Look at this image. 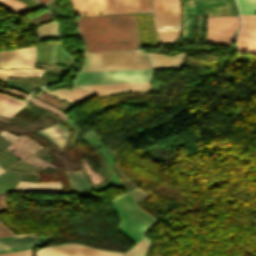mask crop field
<instances>
[{"label":"crop field","instance_id":"obj_1","mask_svg":"<svg viewBox=\"0 0 256 256\" xmlns=\"http://www.w3.org/2000/svg\"><path fill=\"white\" fill-rule=\"evenodd\" d=\"M86 52L141 47L133 14L82 17L77 22Z\"/></svg>","mask_w":256,"mask_h":256},{"label":"crop field","instance_id":"obj_2","mask_svg":"<svg viewBox=\"0 0 256 256\" xmlns=\"http://www.w3.org/2000/svg\"><path fill=\"white\" fill-rule=\"evenodd\" d=\"M147 197L149 195L137 188L112 200L121 220L119 229L136 243L145 236L152 226L157 224L155 219L134 204Z\"/></svg>","mask_w":256,"mask_h":256},{"label":"crop field","instance_id":"obj_3","mask_svg":"<svg viewBox=\"0 0 256 256\" xmlns=\"http://www.w3.org/2000/svg\"><path fill=\"white\" fill-rule=\"evenodd\" d=\"M182 5V41L195 39L196 16L197 37L202 39L204 16L237 15L233 0H182Z\"/></svg>","mask_w":256,"mask_h":256},{"label":"crop field","instance_id":"obj_4","mask_svg":"<svg viewBox=\"0 0 256 256\" xmlns=\"http://www.w3.org/2000/svg\"><path fill=\"white\" fill-rule=\"evenodd\" d=\"M35 46L18 50L0 52L1 68H33V69H0V80L5 81L7 76L40 77L44 70L34 69Z\"/></svg>","mask_w":256,"mask_h":256},{"label":"crop field","instance_id":"obj_5","mask_svg":"<svg viewBox=\"0 0 256 256\" xmlns=\"http://www.w3.org/2000/svg\"><path fill=\"white\" fill-rule=\"evenodd\" d=\"M151 69L80 73L74 85H98L151 81Z\"/></svg>","mask_w":256,"mask_h":256},{"label":"crop field","instance_id":"obj_6","mask_svg":"<svg viewBox=\"0 0 256 256\" xmlns=\"http://www.w3.org/2000/svg\"><path fill=\"white\" fill-rule=\"evenodd\" d=\"M123 253L103 251L78 244L53 245L40 249L37 256H121ZM0 256H32L31 249L0 254Z\"/></svg>","mask_w":256,"mask_h":256},{"label":"crop field","instance_id":"obj_7","mask_svg":"<svg viewBox=\"0 0 256 256\" xmlns=\"http://www.w3.org/2000/svg\"><path fill=\"white\" fill-rule=\"evenodd\" d=\"M238 25L237 16L208 18L206 42L230 47L232 34Z\"/></svg>","mask_w":256,"mask_h":256},{"label":"crop field","instance_id":"obj_8","mask_svg":"<svg viewBox=\"0 0 256 256\" xmlns=\"http://www.w3.org/2000/svg\"><path fill=\"white\" fill-rule=\"evenodd\" d=\"M238 51L256 55V15L241 16Z\"/></svg>","mask_w":256,"mask_h":256},{"label":"crop field","instance_id":"obj_9","mask_svg":"<svg viewBox=\"0 0 256 256\" xmlns=\"http://www.w3.org/2000/svg\"><path fill=\"white\" fill-rule=\"evenodd\" d=\"M0 135L13 143L6 149L21 159L32 155L42 148L41 145L24 135L18 137L5 131L0 132Z\"/></svg>","mask_w":256,"mask_h":256},{"label":"crop field","instance_id":"obj_10","mask_svg":"<svg viewBox=\"0 0 256 256\" xmlns=\"http://www.w3.org/2000/svg\"><path fill=\"white\" fill-rule=\"evenodd\" d=\"M106 14L151 11L149 0H103Z\"/></svg>","mask_w":256,"mask_h":256},{"label":"crop field","instance_id":"obj_11","mask_svg":"<svg viewBox=\"0 0 256 256\" xmlns=\"http://www.w3.org/2000/svg\"><path fill=\"white\" fill-rule=\"evenodd\" d=\"M141 44L158 46L152 12L134 14Z\"/></svg>","mask_w":256,"mask_h":256},{"label":"crop field","instance_id":"obj_12","mask_svg":"<svg viewBox=\"0 0 256 256\" xmlns=\"http://www.w3.org/2000/svg\"><path fill=\"white\" fill-rule=\"evenodd\" d=\"M39 247L35 234L14 235L0 238V253Z\"/></svg>","mask_w":256,"mask_h":256},{"label":"crop field","instance_id":"obj_13","mask_svg":"<svg viewBox=\"0 0 256 256\" xmlns=\"http://www.w3.org/2000/svg\"><path fill=\"white\" fill-rule=\"evenodd\" d=\"M150 82L143 83H128V84H113V85H98V86H83L80 88L97 93L99 96L112 95L120 92L128 91H147Z\"/></svg>","mask_w":256,"mask_h":256},{"label":"crop field","instance_id":"obj_14","mask_svg":"<svg viewBox=\"0 0 256 256\" xmlns=\"http://www.w3.org/2000/svg\"><path fill=\"white\" fill-rule=\"evenodd\" d=\"M42 90L66 101L74 106L95 96L92 93L86 92V91L78 89L76 87H73V89L71 91H68L66 89H58V90L49 92V91L45 90L44 88H42Z\"/></svg>","mask_w":256,"mask_h":256},{"label":"crop field","instance_id":"obj_15","mask_svg":"<svg viewBox=\"0 0 256 256\" xmlns=\"http://www.w3.org/2000/svg\"><path fill=\"white\" fill-rule=\"evenodd\" d=\"M74 14L98 15L105 14L102 0H71Z\"/></svg>","mask_w":256,"mask_h":256},{"label":"crop field","instance_id":"obj_16","mask_svg":"<svg viewBox=\"0 0 256 256\" xmlns=\"http://www.w3.org/2000/svg\"><path fill=\"white\" fill-rule=\"evenodd\" d=\"M148 54L153 68L172 67L181 69L182 61L185 56V53L173 56H163L153 53Z\"/></svg>","mask_w":256,"mask_h":256},{"label":"crop field","instance_id":"obj_17","mask_svg":"<svg viewBox=\"0 0 256 256\" xmlns=\"http://www.w3.org/2000/svg\"><path fill=\"white\" fill-rule=\"evenodd\" d=\"M12 191H45V192H61V183H32L20 181Z\"/></svg>","mask_w":256,"mask_h":256},{"label":"crop field","instance_id":"obj_18","mask_svg":"<svg viewBox=\"0 0 256 256\" xmlns=\"http://www.w3.org/2000/svg\"><path fill=\"white\" fill-rule=\"evenodd\" d=\"M39 132L54 142L60 149L65 146L70 134L69 131L60 124H56Z\"/></svg>","mask_w":256,"mask_h":256},{"label":"crop field","instance_id":"obj_19","mask_svg":"<svg viewBox=\"0 0 256 256\" xmlns=\"http://www.w3.org/2000/svg\"><path fill=\"white\" fill-rule=\"evenodd\" d=\"M25 106V102L8 95L0 94V115L11 118L18 110Z\"/></svg>","mask_w":256,"mask_h":256},{"label":"crop field","instance_id":"obj_20","mask_svg":"<svg viewBox=\"0 0 256 256\" xmlns=\"http://www.w3.org/2000/svg\"><path fill=\"white\" fill-rule=\"evenodd\" d=\"M57 30H58V26L55 21L52 23L43 25L37 28V38L38 40L48 39V38H59Z\"/></svg>","mask_w":256,"mask_h":256},{"label":"crop field","instance_id":"obj_21","mask_svg":"<svg viewBox=\"0 0 256 256\" xmlns=\"http://www.w3.org/2000/svg\"><path fill=\"white\" fill-rule=\"evenodd\" d=\"M40 117H42V115L35 113V112L27 109L26 107H24L17 114H15L13 116V119H15L25 125H28V124L38 120Z\"/></svg>","mask_w":256,"mask_h":256},{"label":"crop field","instance_id":"obj_22","mask_svg":"<svg viewBox=\"0 0 256 256\" xmlns=\"http://www.w3.org/2000/svg\"><path fill=\"white\" fill-rule=\"evenodd\" d=\"M151 249L150 241L143 239L123 256H146Z\"/></svg>","mask_w":256,"mask_h":256},{"label":"crop field","instance_id":"obj_23","mask_svg":"<svg viewBox=\"0 0 256 256\" xmlns=\"http://www.w3.org/2000/svg\"><path fill=\"white\" fill-rule=\"evenodd\" d=\"M0 4L3 5L5 8H7L17 14H22V13L32 11L25 4H23L17 0H0Z\"/></svg>","mask_w":256,"mask_h":256},{"label":"crop field","instance_id":"obj_24","mask_svg":"<svg viewBox=\"0 0 256 256\" xmlns=\"http://www.w3.org/2000/svg\"><path fill=\"white\" fill-rule=\"evenodd\" d=\"M38 98L52 104V105H55L57 106L59 109H61L63 112H67L68 110H70L72 107L63 103L62 101L52 97L51 95L41 91L38 95H37Z\"/></svg>","mask_w":256,"mask_h":256},{"label":"crop field","instance_id":"obj_25","mask_svg":"<svg viewBox=\"0 0 256 256\" xmlns=\"http://www.w3.org/2000/svg\"><path fill=\"white\" fill-rule=\"evenodd\" d=\"M181 30L158 31L161 43L173 44L178 41Z\"/></svg>","mask_w":256,"mask_h":256},{"label":"crop field","instance_id":"obj_26","mask_svg":"<svg viewBox=\"0 0 256 256\" xmlns=\"http://www.w3.org/2000/svg\"><path fill=\"white\" fill-rule=\"evenodd\" d=\"M240 14L256 13V0H236Z\"/></svg>","mask_w":256,"mask_h":256},{"label":"crop field","instance_id":"obj_27","mask_svg":"<svg viewBox=\"0 0 256 256\" xmlns=\"http://www.w3.org/2000/svg\"><path fill=\"white\" fill-rule=\"evenodd\" d=\"M28 101L30 103H32V104L38 105V106H40V107H42V108H44V109H46L48 111H51V112L57 114L62 120L67 119V117H66V115L64 113L60 112L59 110H57L54 107H51L49 105L44 104L43 102H41V101L31 97V96L29 97Z\"/></svg>","mask_w":256,"mask_h":256},{"label":"crop field","instance_id":"obj_28","mask_svg":"<svg viewBox=\"0 0 256 256\" xmlns=\"http://www.w3.org/2000/svg\"><path fill=\"white\" fill-rule=\"evenodd\" d=\"M7 210L5 193H0V212ZM13 233L0 224V236L12 235Z\"/></svg>","mask_w":256,"mask_h":256},{"label":"crop field","instance_id":"obj_29","mask_svg":"<svg viewBox=\"0 0 256 256\" xmlns=\"http://www.w3.org/2000/svg\"><path fill=\"white\" fill-rule=\"evenodd\" d=\"M23 161H25V162H27V163H29V164H32V165H34V166H37V167H39V168L54 167V166L50 165L49 163L43 161L42 159H40V158H38V157H36V156H34V155L31 156V157H29V158L26 159V160H23Z\"/></svg>","mask_w":256,"mask_h":256},{"label":"crop field","instance_id":"obj_30","mask_svg":"<svg viewBox=\"0 0 256 256\" xmlns=\"http://www.w3.org/2000/svg\"><path fill=\"white\" fill-rule=\"evenodd\" d=\"M76 172H77V174L80 176V178H81L82 182L84 183V185L86 186V188H91V187L94 186L93 183L90 181V179L87 177V175H86L84 169H82V172H83V174L85 175V177L87 178V180L89 181L91 187H90V185L88 184V182L85 180V178L83 177V175H82V173L80 172V170H78V171H76Z\"/></svg>","mask_w":256,"mask_h":256},{"label":"crop field","instance_id":"obj_31","mask_svg":"<svg viewBox=\"0 0 256 256\" xmlns=\"http://www.w3.org/2000/svg\"><path fill=\"white\" fill-rule=\"evenodd\" d=\"M0 90H3V89H0ZM3 91H6V92H8V93H10L12 95H15L17 97H21V98H24V99H26V97H27V95L22 94V93H20L18 91H14V90H3ZM0 121L6 122V123L9 122L8 120H4V119H0Z\"/></svg>","mask_w":256,"mask_h":256},{"label":"crop field","instance_id":"obj_32","mask_svg":"<svg viewBox=\"0 0 256 256\" xmlns=\"http://www.w3.org/2000/svg\"><path fill=\"white\" fill-rule=\"evenodd\" d=\"M78 189L81 190V189H85V186L83 185V183L81 182V180L76 176L75 172L71 171L70 172Z\"/></svg>","mask_w":256,"mask_h":256},{"label":"crop field","instance_id":"obj_33","mask_svg":"<svg viewBox=\"0 0 256 256\" xmlns=\"http://www.w3.org/2000/svg\"><path fill=\"white\" fill-rule=\"evenodd\" d=\"M50 72H51V71H50ZM50 72L44 71L43 75H44V76L53 77V78H58V79H61L62 75H64V74H62V73H58V74H62V75H58V74H54V73H57V72H54V73H50ZM44 76H43V77H44ZM49 77H48V78H49ZM53 78H52V79H53ZM52 79H51V80H52ZM58 79H57V80H58ZM57 80H55V81H57Z\"/></svg>","mask_w":256,"mask_h":256},{"label":"crop field","instance_id":"obj_34","mask_svg":"<svg viewBox=\"0 0 256 256\" xmlns=\"http://www.w3.org/2000/svg\"><path fill=\"white\" fill-rule=\"evenodd\" d=\"M66 175H67V177H68V179H69V181H70V183H71V190H72V191L77 190L76 185H75V183H74V181H73V179H72V177H71L69 171H66Z\"/></svg>","mask_w":256,"mask_h":256},{"label":"crop field","instance_id":"obj_35","mask_svg":"<svg viewBox=\"0 0 256 256\" xmlns=\"http://www.w3.org/2000/svg\"><path fill=\"white\" fill-rule=\"evenodd\" d=\"M10 169L18 170V171H22V172H25V173L37 175V173H35V172L29 171V170H26V169H24V168L17 167V166H13V167L10 168Z\"/></svg>","mask_w":256,"mask_h":256},{"label":"crop field","instance_id":"obj_36","mask_svg":"<svg viewBox=\"0 0 256 256\" xmlns=\"http://www.w3.org/2000/svg\"><path fill=\"white\" fill-rule=\"evenodd\" d=\"M27 106H29V107H31V108H33V109H35V110H37V111H39V112H41V113H43V114L48 113V112H46V111H44V110H41V109H39V108H37V107H35V106L29 104V103H27Z\"/></svg>","mask_w":256,"mask_h":256},{"label":"crop field","instance_id":"obj_37","mask_svg":"<svg viewBox=\"0 0 256 256\" xmlns=\"http://www.w3.org/2000/svg\"><path fill=\"white\" fill-rule=\"evenodd\" d=\"M17 164H20V165H22V166L29 167V168H32V169H35V170H39V169H37V168H35V167L31 166V165H28V164H26V163H24V162H22V161H20V162L17 163Z\"/></svg>","mask_w":256,"mask_h":256},{"label":"crop field","instance_id":"obj_38","mask_svg":"<svg viewBox=\"0 0 256 256\" xmlns=\"http://www.w3.org/2000/svg\"><path fill=\"white\" fill-rule=\"evenodd\" d=\"M24 1L27 2L29 5H31L34 9H37V7L34 6V5H33L31 2H29L28 0H24ZM31 1H33L37 6L41 7V5L38 4L37 2H35L34 0H31Z\"/></svg>","mask_w":256,"mask_h":256},{"label":"crop field","instance_id":"obj_39","mask_svg":"<svg viewBox=\"0 0 256 256\" xmlns=\"http://www.w3.org/2000/svg\"><path fill=\"white\" fill-rule=\"evenodd\" d=\"M37 1H39V2L42 3V4H45V3L48 2L49 0H37Z\"/></svg>","mask_w":256,"mask_h":256},{"label":"crop field","instance_id":"obj_40","mask_svg":"<svg viewBox=\"0 0 256 256\" xmlns=\"http://www.w3.org/2000/svg\"><path fill=\"white\" fill-rule=\"evenodd\" d=\"M4 170L0 167V173L3 172Z\"/></svg>","mask_w":256,"mask_h":256}]
</instances>
